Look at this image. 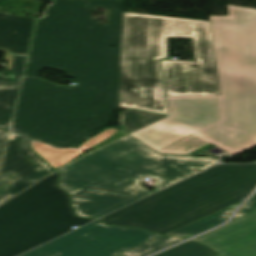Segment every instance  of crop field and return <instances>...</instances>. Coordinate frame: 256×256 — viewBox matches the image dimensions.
<instances>
[{
    "mask_svg": "<svg viewBox=\"0 0 256 256\" xmlns=\"http://www.w3.org/2000/svg\"><path fill=\"white\" fill-rule=\"evenodd\" d=\"M51 1L37 22L12 129L71 147L118 109L123 0ZM98 7L108 8L106 25L90 18ZM44 68L64 71L77 87L38 79Z\"/></svg>",
    "mask_w": 256,
    "mask_h": 256,
    "instance_id": "obj_1",
    "label": "crop field"
},
{
    "mask_svg": "<svg viewBox=\"0 0 256 256\" xmlns=\"http://www.w3.org/2000/svg\"><path fill=\"white\" fill-rule=\"evenodd\" d=\"M192 37L196 62L161 60L168 96L219 94L210 22L123 12L119 107L168 114L158 58Z\"/></svg>",
    "mask_w": 256,
    "mask_h": 256,
    "instance_id": "obj_2",
    "label": "crop field"
},
{
    "mask_svg": "<svg viewBox=\"0 0 256 256\" xmlns=\"http://www.w3.org/2000/svg\"><path fill=\"white\" fill-rule=\"evenodd\" d=\"M210 16L224 120L196 135L230 154L256 144V10Z\"/></svg>",
    "mask_w": 256,
    "mask_h": 256,
    "instance_id": "obj_3",
    "label": "crop field"
},
{
    "mask_svg": "<svg viewBox=\"0 0 256 256\" xmlns=\"http://www.w3.org/2000/svg\"><path fill=\"white\" fill-rule=\"evenodd\" d=\"M255 186L256 164L216 165L99 220L164 234L243 201Z\"/></svg>",
    "mask_w": 256,
    "mask_h": 256,
    "instance_id": "obj_4",
    "label": "crop field"
},
{
    "mask_svg": "<svg viewBox=\"0 0 256 256\" xmlns=\"http://www.w3.org/2000/svg\"><path fill=\"white\" fill-rule=\"evenodd\" d=\"M58 172L0 206V256H15L90 219L77 218Z\"/></svg>",
    "mask_w": 256,
    "mask_h": 256,
    "instance_id": "obj_5",
    "label": "crop field"
},
{
    "mask_svg": "<svg viewBox=\"0 0 256 256\" xmlns=\"http://www.w3.org/2000/svg\"><path fill=\"white\" fill-rule=\"evenodd\" d=\"M216 158L153 153L113 174L93 182L73 193V207L79 217L90 218L146 189L140 187L139 178L154 177V185L169 186L215 164ZM146 192V191H145Z\"/></svg>",
    "mask_w": 256,
    "mask_h": 256,
    "instance_id": "obj_6",
    "label": "crop field"
},
{
    "mask_svg": "<svg viewBox=\"0 0 256 256\" xmlns=\"http://www.w3.org/2000/svg\"><path fill=\"white\" fill-rule=\"evenodd\" d=\"M159 236L95 221L21 256H115Z\"/></svg>",
    "mask_w": 256,
    "mask_h": 256,
    "instance_id": "obj_7",
    "label": "crop field"
},
{
    "mask_svg": "<svg viewBox=\"0 0 256 256\" xmlns=\"http://www.w3.org/2000/svg\"><path fill=\"white\" fill-rule=\"evenodd\" d=\"M170 117L135 134L156 151L223 119L219 95L168 97Z\"/></svg>",
    "mask_w": 256,
    "mask_h": 256,
    "instance_id": "obj_8",
    "label": "crop field"
},
{
    "mask_svg": "<svg viewBox=\"0 0 256 256\" xmlns=\"http://www.w3.org/2000/svg\"><path fill=\"white\" fill-rule=\"evenodd\" d=\"M153 152L127 136L58 170L59 187L71 193Z\"/></svg>",
    "mask_w": 256,
    "mask_h": 256,
    "instance_id": "obj_9",
    "label": "crop field"
},
{
    "mask_svg": "<svg viewBox=\"0 0 256 256\" xmlns=\"http://www.w3.org/2000/svg\"><path fill=\"white\" fill-rule=\"evenodd\" d=\"M11 135L18 138L8 142L0 176V203L54 171L29 149L28 137L12 131Z\"/></svg>",
    "mask_w": 256,
    "mask_h": 256,
    "instance_id": "obj_10",
    "label": "crop field"
},
{
    "mask_svg": "<svg viewBox=\"0 0 256 256\" xmlns=\"http://www.w3.org/2000/svg\"><path fill=\"white\" fill-rule=\"evenodd\" d=\"M193 240L209 245L218 256H256V211Z\"/></svg>",
    "mask_w": 256,
    "mask_h": 256,
    "instance_id": "obj_11",
    "label": "crop field"
},
{
    "mask_svg": "<svg viewBox=\"0 0 256 256\" xmlns=\"http://www.w3.org/2000/svg\"><path fill=\"white\" fill-rule=\"evenodd\" d=\"M26 56L7 53L4 60L8 61L6 74L0 73V127L9 128L19 92L21 75ZM10 71V73H7Z\"/></svg>",
    "mask_w": 256,
    "mask_h": 256,
    "instance_id": "obj_12",
    "label": "crop field"
},
{
    "mask_svg": "<svg viewBox=\"0 0 256 256\" xmlns=\"http://www.w3.org/2000/svg\"><path fill=\"white\" fill-rule=\"evenodd\" d=\"M34 18L0 13V51L27 54Z\"/></svg>",
    "mask_w": 256,
    "mask_h": 256,
    "instance_id": "obj_13",
    "label": "crop field"
},
{
    "mask_svg": "<svg viewBox=\"0 0 256 256\" xmlns=\"http://www.w3.org/2000/svg\"><path fill=\"white\" fill-rule=\"evenodd\" d=\"M117 130L114 127L104 129L100 134L88 139L77 148L57 149L32 139V148L52 167L59 168L86 150L95 146Z\"/></svg>",
    "mask_w": 256,
    "mask_h": 256,
    "instance_id": "obj_14",
    "label": "crop field"
},
{
    "mask_svg": "<svg viewBox=\"0 0 256 256\" xmlns=\"http://www.w3.org/2000/svg\"><path fill=\"white\" fill-rule=\"evenodd\" d=\"M239 205L240 203L222 209L218 212H215L192 223H189L185 226H182L176 230H173L167 234L177 235L184 239L192 237L196 234L209 230L223 223Z\"/></svg>",
    "mask_w": 256,
    "mask_h": 256,
    "instance_id": "obj_15",
    "label": "crop field"
},
{
    "mask_svg": "<svg viewBox=\"0 0 256 256\" xmlns=\"http://www.w3.org/2000/svg\"><path fill=\"white\" fill-rule=\"evenodd\" d=\"M165 116L155 113H145L136 110H125L120 112V125L130 134L146 125H149Z\"/></svg>",
    "mask_w": 256,
    "mask_h": 256,
    "instance_id": "obj_16",
    "label": "crop field"
},
{
    "mask_svg": "<svg viewBox=\"0 0 256 256\" xmlns=\"http://www.w3.org/2000/svg\"><path fill=\"white\" fill-rule=\"evenodd\" d=\"M181 240L182 239H178L175 237L161 236L157 239H154L150 242H147L143 245H140L136 248L126 251L122 254L125 256H147V255L152 254L158 250H161L167 246L177 243Z\"/></svg>",
    "mask_w": 256,
    "mask_h": 256,
    "instance_id": "obj_17",
    "label": "crop field"
},
{
    "mask_svg": "<svg viewBox=\"0 0 256 256\" xmlns=\"http://www.w3.org/2000/svg\"><path fill=\"white\" fill-rule=\"evenodd\" d=\"M204 246L197 242L189 241L155 256H216L214 251Z\"/></svg>",
    "mask_w": 256,
    "mask_h": 256,
    "instance_id": "obj_18",
    "label": "crop field"
},
{
    "mask_svg": "<svg viewBox=\"0 0 256 256\" xmlns=\"http://www.w3.org/2000/svg\"><path fill=\"white\" fill-rule=\"evenodd\" d=\"M209 142L192 134L158 152L161 153H176V154H190V152L208 144Z\"/></svg>",
    "mask_w": 256,
    "mask_h": 256,
    "instance_id": "obj_19",
    "label": "crop field"
},
{
    "mask_svg": "<svg viewBox=\"0 0 256 256\" xmlns=\"http://www.w3.org/2000/svg\"><path fill=\"white\" fill-rule=\"evenodd\" d=\"M156 190H159V189L154 188V189H152L150 191L143 192V193H141V194H139V195H137V196H135V197H133L131 199H128V200H126V201H124V202H122V203H120V204H118V205H116V206H114V207H112V208H110V209H108V210H106V211H104V212H102V213L92 217V219H96V218H98V217H100V216H102V215H104L106 213H109V212H111V211H113V210H115L117 208H120V207H122V206H124V205H126L128 203H131V202H133V201H135L137 199H140V198H142V197H144V196H146V195H148V194H150V193H152V192H154Z\"/></svg>",
    "mask_w": 256,
    "mask_h": 256,
    "instance_id": "obj_20",
    "label": "crop field"
},
{
    "mask_svg": "<svg viewBox=\"0 0 256 256\" xmlns=\"http://www.w3.org/2000/svg\"><path fill=\"white\" fill-rule=\"evenodd\" d=\"M254 210H256V196L249 199L247 203L241 208V210L235 215V217L232 220Z\"/></svg>",
    "mask_w": 256,
    "mask_h": 256,
    "instance_id": "obj_21",
    "label": "crop field"
},
{
    "mask_svg": "<svg viewBox=\"0 0 256 256\" xmlns=\"http://www.w3.org/2000/svg\"><path fill=\"white\" fill-rule=\"evenodd\" d=\"M124 135H126V134L121 132V131H119V132L115 133L114 135H112L111 137L107 138L106 140H104L103 142L99 143L98 145H96L95 147H93L91 149L95 150V149H97V148H99V147H101V146H103V145H105V144H107V143L117 139V138H120V137H122Z\"/></svg>",
    "mask_w": 256,
    "mask_h": 256,
    "instance_id": "obj_22",
    "label": "crop field"
},
{
    "mask_svg": "<svg viewBox=\"0 0 256 256\" xmlns=\"http://www.w3.org/2000/svg\"><path fill=\"white\" fill-rule=\"evenodd\" d=\"M8 131L0 130V160Z\"/></svg>",
    "mask_w": 256,
    "mask_h": 256,
    "instance_id": "obj_23",
    "label": "crop field"
},
{
    "mask_svg": "<svg viewBox=\"0 0 256 256\" xmlns=\"http://www.w3.org/2000/svg\"><path fill=\"white\" fill-rule=\"evenodd\" d=\"M256 195V191L254 192V194L252 196Z\"/></svg>",
    "mask_w": 256,
    "mask_h": 256,
    "instance_id": "obj_24",
    "label": "crop field"
},
{
    "mask_svg": "<svg viewBox=\"0 0 256 256\" xmlns=\"http://www.w3.org/2000/svg\"><path fill=\"white\" fill-rule=\"evenodd\" d=\"M117 256H123V255L119 254V255H117Z\"/></svg>",
    "mask_w": 256,
    "mask_h": 256,
    "instance_id": "obj_25",
    "label": "crop field"
}]
</instances>
